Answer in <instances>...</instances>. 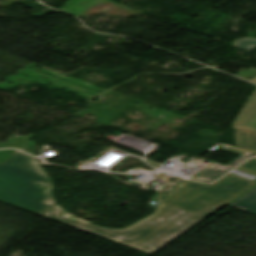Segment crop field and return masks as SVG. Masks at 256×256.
Wrapping results in <instances>:
<instances>
[{
    "label": "crop field",
    "instance_id": "8a807250",
    "mask_svg": "<svg viewBox=\"0 0 256 256\" xmlns=\"http://www.w3.org/2000/svg\"><path fill=\"white\" fill-rule=\"evenodd\" d=\"M255 185L256 179L251 181L232 173L213 185L185 181L168 194L160 193L155 214L127 229L81 223L65 217L66 212L58 205L43 216L150 254Z\"/></svg>",
    "mask_w": 256,
    "mask_h": 256
},
{
    "label": "crop field",
    "instance_id": "ac0d7876",
    "mask_svg": "<svg viewBox=\"0 0 256 256\" xmlns=\"http://www.w3.org/2000/svg\"><path fill=\"white\" fill-rule=\"evenodd\" d=\"M54 190V185L34 157L16 151L0 165L1 201L42 215L55 205Z\"/></svg>",
    "mask_w": 256,
    "mask_h": 256
},
{
    "label": "crop field",
    "instance_id": "34b2d1b8",
    "mask_svg": "<svg viewBox=\"0 0 256 256\" xmlns=\"http://www.w3.org/2000/svg\"><path fill=\"white\" fill-rule=\"evenodd\" d=\"M234 128L256 131V91L233 123Z\"/></svg>",
    "mask_w": 256,
    "mask_h": 256
},
{
    "label": "crop field",
    "instance_id": "412701ff",
    "mask_svg": "<svg viewBox=\"0 0 256 256\" xmlns=\"http://www.w3.org/2000/svg\"><path fill=\"white\" fill-rule=\"evenodd\" d=\"M232 168L220 165V164H212L202 171H200L198 174L193 176L190 179L199 180L203 182H211L219 178L221 175L226 173L227 171L231 170Z\"/></svg>",
    "mask_w": 256,
    "mask_h": 256
},
{
    "label": "crop field",
    "instance_id": "f4fd0767",
    "mask_svg": "<svg viewBox=\"0 0 256 256\" xmlns=\"http://www.w3.org/2000/svg\"><path fill=\"white\" fill-rule=\"evenodd\" d=\"M237 147L256 153V132L235 129Z\"/></svg>",
    "mask_w": 256,
    "mask_h": 256
},
{
    "label": "crop field",
    "instance_id": "dd49c442",
    "mask_svg": "<svg viewBox=\"0 0 256 256\" xmlns=\"http://www.w3.org/2000/svg\"><path fill=\"white\" fill-rule=\"evenodd\" d=\"M230 205L256 214V187Z\"/></svg>",
    "mask_w": 256,
    "mask_h": 256
},
{
    "label": "crop field",
    "instance_id": "e52e79f7",
    "mask_svg": "<svg viewBox=\"0 0 256 256\" xmlns=\"http://www.w3.org/2000/svg\"><path fill=\"white\" fill-rule=\"evenodd\" d=\"M234 45L249 51L256 48V39L246 38L236 40Z\"/></svg>",
    "mask_w": 256,
    "mask_h": 256
},
{
    "label": "crop field",
    "instance_id": "d8731c3e",
    "mask_svg": "<svg viewBox=\"0 0 256 256\" xmlns=\"http://www.w3.org/2000/svg\"><path fill=\"white\" fill-rule=\"evenodd\" d=\"M237 170L256 175V158L247 161L245 164L240 166Z\"/></svg>",
    "mask_w": 256,
    "mask_h": 256
},
{
    "label": "crop field",
    "instance_id": "5a996713",
    "mask_svg": "<svg viewBox=\"0 0 256 256\" xmlns=\"http://www.w3.org/2000/svg\"><path fill=\"white\" fill-rule=\"evenodd\" d=\"M251 155H253V154H250V153L246 152L243 155H241L240 157H238L235 160L228 163L226 166L234 168L235 166H237L239 163H241L243 160H245L247 157H249Z\"/></svg>",
    "mask_w": 256,
    "mask_h": 256
},
{
    "label": "crop field",
    "instance_id": "3316defc",
    "mask_svg": "<svg viewBox=\"0 0 256 256\" xmlns=\"http://www.w3.org/2000/svg\"><path fill=\"white\" fill-rule=\"evenodd\" d=\"M66 216L67 217H70V218H73V219H76V220H79V221H82V220H80V219H78V218H76V217H74V216H72V215H70V214H66ZM82 222H84V223H87V222H85V221H82Z\"/></svg>",
    "mask_w": 256,
    "mask_h": 256
},
{
    "label": "crop field",
    "instance_id": "28ad6ade",
    "mask_svg": "<svg viewBox=\"0 0 256 256\" xmlns=\"http://www.w3.org/2000/svg\"><path fill=\"white\" fill-rule=\"evenodd\" d=\"M251 82H254V83H256V78H255V79H253Z\"/></svg>",
    "mask_w": 256,
    "mask_h": 256
}]
</instances>
